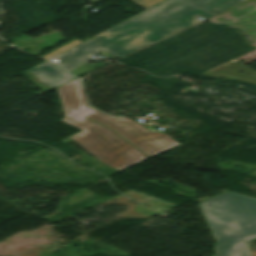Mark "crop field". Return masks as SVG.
Instances as JSON below:
<instances>
[{
	"mask_svg": "<svg viewBox=\"0 0 256 256\" xmlns=\"http://www.w3.org/2000/svg\"><path fill=\"white\" fill-rule=\"evenodd\" d=\"M56 89L65 115L61 121L81 130L62 141L77 143L119 171L177 146L164 132L146 129L127 117L111 118L88 107L78 79Z\"/></svg>",
	"mask_w": 256,
	"mask_h": 256,
	"instance_id": "8a807250",
	"label": "crop field"
},
{
	"mask_svg": "<svg viewBox=\"0 0 256 256\" xmlns=\"http://www.w3.org/2000/svg\"><path fill=\"white\" fill-rule=\"evenodd\" d=\"M244 0H167L49 60L70 70L104 50L120 58ZM200 22V21H199Z\"/></svg>",
	"mask_w": 256,
	"mask_h": 256,
	"instance_id": "ac0d7876",
	"label": "crop field"
},
{
	"mask_svg": "<svg viewBox=\"0 0 256 256\" xmlns=\"http://www.w3.org/2000/svg\"><path fill=\"white\" fill-rule=\"evenodd\" d=\"M216 239L215 256H250L256 238V199L226 191L199 204Z\"/></svg>",
	"mask_w": 256,
	"mask_h": 256,
	"instance_id": "34b2d1b8",
	"label": "crop field"
},
{
	"mask_svg": "<svg viewBox=\"0 0 256 256\" xmlns=\"http://www.w3.org/2000/svg\"><path fill=\"white\" fill-rule=\"evenodd\" d=\"M25 74L32 78L30 82L44 92L75 79L47 61L25 72Z\"/></svg>",
	"mask_w": 256,
	"mask_h": 256,
	"instance_id": "412701ff",
	"label": "crop field"
},
{
	"mask_svg": "<svg viewBox=\"0 0 256 256\" xmlns=\"http://www.w3.org/2000/svg\"><path fill=\"white\" fill-rule=\"evenodd\" d=\"M204 75L233 80H242L256 84V74L243 67L242 65L235 63H228Z\"/></svg>",
	"mask_w": 256,
	"mask_h": 256,
	"instance_id": "f4fd0767",
	"label": "crop field"
},
{
	"mask_svg": "<svg viewBox=\"0 0 256 256\" xmlns=\"http://www.w3.org/2000/svg\"><path fill=\"white\" fill-rule=\"evenodd\" d=\"M80 43H82V42H80L78 40H74V41H72V42H70V43H68V44L58 48L57 50H55V51H53V52L43 56L42 58L48 60V59H50V58H52V57H54V56H56V55H58V54H60V53H62L64 51H66V50H68V49H70V48H72V47H74V46H76V45H78Z\"/></svg>",
	"mask_w": 256,
	"mask_h": 256,
	"instance_id": "dd49c442",
	"label": "crop field"
},
{
	"mask_svg": "<svg viewBox=\"0 0 256 256\" xmlns=\"http://www.w3.org/2000/svg\"><path fill=\"white\" fill-rule=\"evenodd\" d=\"M97 69L96 67H93L91 65H89L88 63L70 71L71 73H73L74 75L80 77L88 72H91L93 70Z\"/></svg>",
	"mask_w": 256,
	"mask_h": 256,
	"instance_id": "e52e79f7",
	"label": "crop field"
},
{
	"mask_svg": "<svg viewBox=\"0 0 256 256\" xmlns=\"http://www.w3.org/2000/svg\"><path fill=\"white\" fill-rule=\"evenodd\" d=\"M92 194V192L88 191V190H83L81 192H79L78 194L72 196L70 199H69V202L68 204L69 205H73L75 203H78L81 199L87 197L88 195Z\"/></svg>",
	"mask_w": 256,
	"mask_h": 256,
	"instance_id": "d8731c3e",
	"label": "crop field"
},
{
	"mask_svg": "<svg viewBox=\"0 0 256 256\" xmlns=\"http://www.w3.org/2000/svg\"><path fill=\"white\" fill-rule=\"evenodd\" d=\"M130 1H132L135 4H137V5L146 9V8H148V7L154 5V4H156V3H158L162 0H130Z\"/></svg>",
	"mask_w": 256,
	"mask_h": 256,
	"instance_id": "5a996713",
	"label": "crop field"
},
{
	"mask_svg": "<svg viewBox=\"0 0 256 256\" xmlns=\"http://www.w3.org/2000/svg\"><path fill=\"white\" fill-rule=\"evenodd\" d=\"M92 1H96V0H92Z\"/></svg>",
	"mask_w": 256,
	"mask_h": 256,
	"instance_id": "3316defc",
	"label": "crop field"
}]
</instances>
